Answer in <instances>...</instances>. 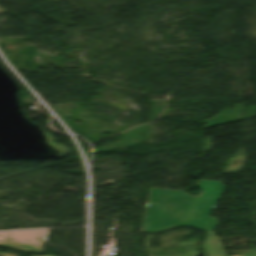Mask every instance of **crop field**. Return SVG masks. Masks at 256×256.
<instances>
[{"label":"crop field","instance_id":"crop-field-1","mask_svg":"<svg viewBox=\"0 0 256 256\" xmlns=\"http://www.w3.org/2000/svg\"><path fill=\"white\" fill-rule=\"evenodd\" d=\"M195 187L202 190L198 197L186 195L185 192L151 188L141 232H162L181 226L212 232L218 223L209 216L225 186L202 180Z\"/></svg>","mask_w":256,"mask_h":256}]
</instances>
